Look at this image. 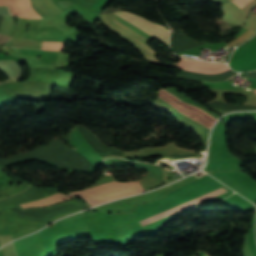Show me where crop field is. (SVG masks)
Segmentation results:
<instances>
[{
    "label": "crop field",
    "mask_w": 256,
    "mask_h": 256,
    "mask_svg": "<svg viewBox=\"0 0 256 256\" xmlns=\"http://www.w3.org/2000/svg\"><path fill=\"white\" fill-rule=\"evenodd\" d=\"M115 14L125 19L126 21L132 23L133 25L145 31L146 33L169 44V30H167L165 27L161 25H156L141 17L132 15L127 12H115ZM177 67L187 69V70L197 71L200 73H209V74L222 73L229 69L228 65L226 64L195 61V60H188L184 58L179 62Z\"/></svg>",
    "instance_id": "1"
},
{
    "label": "crop field",
    "mask_w": 256,
    "mask_h": 256,
    "mask_svg": "<svg viewBox=\"0 0 256 256\" xmlns=\"http://www.w3.org/2000/svg\"><path fill=\"white\" fill-rule=\"evenodd\" d=\"M138 182L108 183L89 190L73 193L86 199L92 206L130 194L142 192Z\"/></svg>",
    "instance_id": "2"
},
{
    "label": "crop field",
    "mask_w": 256,
    "mask_h": 256,
    "mask_svg": "<svg viewBox=\"0 0 256 256\" xmlns=\"http://www.w3.org/2000/svg\"><path fill=\"white\" fill-rule=\"evenodd\" d=\"M159 97L166 100L168 103L172 104L175 108L179 109L185 115L203 123L209 129L213 125V123L216 122V119L212 118L208 113H206L192 105L185 104V103L181 102L173 95L164 91L162 88L160 90Z\"/></svg>",
    "instance_id": "3"
},
{
    "label": "crop field",
    "mask_w": 256,
    "mask_h": 256,
    "mask_svg": "<svg viewBox=\"0 0 256 256\" xmlns=\"http://www.w3.org/2000/svg\"><path fill=\"white\" fill-rule=\"evenodd\" d=\"M226 191L227 190L220 188L218 190H215V191H212V192L207 193L205 195H202L199 198L193 199V200H191V201H189L187 203H184V204L179 205V206H175V207H173V208H171V209H169L167 211H164V212L159 213V214H157V215H155L153 217H150V218H147V219H145L143 221H140V223H141L142 226H144V225H146L148 223L155 222V221H157V220H159V219H161V218H163L165 216L174 214V213H176L178 211H181V210H183V209H185L187 207H190V206H193L195 204H198L201 201L207 200V199H209V198H211L213 196H216V195L221 194V193L226 192Z\"/></svg>",
    "instance_id": "4"
},
{
    "label": "crop field",
    "mask_w": 256,
    "mask_h": 256,
    "mask_svg": "<svg viewBox=\"0 0 256 256\" xmlns=\"http://www.w3.org/2000/svg\"><path fill=\"white\" fill-rule=\"evenodd\" d=\"M0 5H10L13 15L23 18H41L31 7L29 0H0Z\"/></svg>",
    "instance_id": "5"
},
{
    "label": "crop field",
    "mask_w": 256,
    "mask_h": 256,
    "mask_svg": "<svg viewBox=\"0 0 256 256\" xmlns=\"http://www.w3.org/2000/svg\"><path fill=\"white\" fill-rule=\"evenodd\" d=\"M70 198H74V195L72 194H68V196L57 193L55 195L46 197L44 199L41 200H37L34 202H30V203H25V204H21V206L23 208H27V207H39V206H48L57 202H61V201H65L68 200Z\"/></svg>",
    "instance_id": "6"
},
{
    "label": "crop field",
    "mask_w": 256,
    "mask_h": 256,
    "mask_svg": "<svg viewBox=\"0 0 256 256\" xmlns=\"http://www.w3.org/2000/svg\"><path fill=\"white\" fill-rule=\"evenodd\" d=\"M63 46L64 43L43 42L42 49L59 51L63 49Z\"/></svg>",
    "instance_id": "7"
},
{
    "label": "crop field",
    "mask_w": 256,
    "mask_h": 256,
    "mask_svg": "<svg viewBox=\"0 0 256 256\" xmlns=\"http://www.w3.org/2000/svg\"><path fill=\"white\" fill-rule=\"evenodd\" d=\"M10 95L0 91V108L7 104Z\"/></svg>",
    "instance_id": "8"
},
{
    "label": "crop field",
    "mask_w": 256,
    "mask_h": 256,
    "mask_svg": "<svg viewBox=\"0 0 256 256\" xmlns=\"http://www.w3.org/2000/svg\"><path fill=\"white\" fill-rule=\"evenodd\" d=\"M237 6L240 8L243 7L245 4H247L251 0H232Z\"/></svg>",
    "instance_id": "9"
},
{
    "label": "crop field",
    "mask_w": 256,
    "mask_h": 256,
    "mask_svg": "<svg viewBox=\"0 0 256 256\" xmlns=\"http://www.w3.org/2000/svg\"><path fill=\"white\" fill-rule=\"evenodd\" d=\"M254 92H255V94H256V90H253Z\"/></svg>",
    "instance_id": "10"
},
{
    "label": "crop field",
    "mask_w": 256,
    "mask_h": 256,
    "mask_svg": "<svg viewBox=\"0 0 256 256\" xmlns=\"http://www.w3.org/2000/svg\"><path fill=\"white\" fill-rule=\"evenodd\" d=\"M204 256H208L207 254H205Z\"/></svg>",
    "instance_id": "11"
},
{
    "label": "crop field",
    "mask_w": 256,
    "mask_h": 256,
    "mask_svg": "<svg viewBox=\"0 0 256 256\" xmlns=\"http://www.w3.org/2000/svg\"><path fill=\"white\" fill-rule=\"evenodd\" d=\"M9 8V7H8ZM9 10H10V8H9ZM10 13H11V11H10Z\"/></svg>",
    "instance_id": "12"
}]
</instances>
